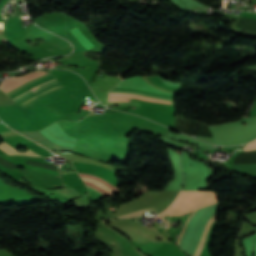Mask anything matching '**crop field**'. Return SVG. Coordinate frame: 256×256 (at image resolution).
<instances>
[{
	"mask_svg": "<svg viewBox=\"0 0 256 256\" xmlns=\"http://www.w3.org/2000/svg\"><path fill=\"white\" fill-rule=\"evenodd\" d=\"M54 80H56V79H54ZM54 83H57V81H51V82H48L46 84H43V85H41V86H39V87L29 91L28 93L24 94L23 96H21L19 98L14 99V100L17 102V101L23 99L24 97L28 96L29 94H31V93H33V92H35V91H37V90H39L41 88H44V87H46L48 85L54 84ZM57 87H60L59 83L51 85V86H49L47 88H44L42 90H39V91L29 95L28 97L24 98L23 100L19 101L18 103L24 104V103L28 102L29 100H31V99H33V98H35V97H37V96H39V95H41V94H43L45 92H48V91H50V90H52L54 88H57ZM67 94L68 93H67L65 87L63 86V87L54 89V90H52V91H50V92H48L46 94H43V95L33 99L32 101L22 105V107H29V106H33V105H37V104H44V103H46V102H48V101H50V100H52V99H54L56 97H60V96L67 95Z\"/></svg>",
	"mask_w": 256,
	"mask_h": 256,
	"instance_id": "3",
	"label": "crop field"
},
{
	"mask_svg": "<svg viewBox=\"0 0 256 256\" xmlns=\"http://www.w3.org/2000/svg\"><path fill=\"white\" fill-rule=\"evenodd\" d=\"M233 168L256 175V164L233 165Z\"/></svg>",
	"mask_w": 256,
	"mask_h": 256,
	"instance_id": "8",
	"label": "crop field"
},
{
	"mask_svg": "<svg viewBox=\"0 0 256 256\" xmlns=\"http://www.w3.org/2000/svg\"><path fill=\"white\" fill-rule=\"evenodd\" d=\"M146 210H151V208H149V209H142L140 211L131 212V213H128V214H125V215H122V216H118V217L119 218H125V217H132V216H142L143 212L146 211Z\"/></svg>",
	"mask_w": 256,
	"mask_h": 256,
	"instance_id": "10",
	"label": "crop field"
},
{
	"mask_svg": "<svg viewBox=\"0 0 256 256\" xmlns=\"http://www.w3.org/2000/svg\"><path fill=\"white\" fill-rule=\"evenodd\" d=\"M252 149H256V140L248 143L243 150H252Z\"/></svg>",
	"mask_w": 256,
	"mask_h": 256,
	"instance_id": "11",
	"label": "crop field"
},
{
	"mask_svg": "<svg viewBox=\"0 0 256 256\" xmlns=\"http://www.w3.org/2000/svg\"><path fill=\"white\" fill-rule=\"evenodd\" d=\"M187 191H180L179 195L177 196L176 200L170 205V207L165 210L162 214L158 215V217L165 216L168 212L174 209L177 205H179L184 198ZM190 191L187 192L185 198L183 199L182 203L177 206L174 210H172L170 214H172L177 208H179L187 198ZM217 202L215 193L213 192H196L191 191L188 198L186 199L185 203L177 209L172 215H183L188 213L192 210H197L203 207H206L210 204ZM167 216V215H166Z\"/></svg>",
	"mask_w": 256,
	"mask_h": 256,
	"instance_id": "2",
	"label": "crop field"
},
{
	"mask_svg": "<svg viewBox=\"0 0 256 256\" xmlns=\"http://www.w3.org/2000/svg\"><path fill=\"white\" fill-rule=\"evenodd\" d=\"M192 214H193V212H191V214H190V216H189V218H188L186 224H187L188 221L190 220ZM216 214H217V212H216L214 215H212V216L210 217V219H209V221H208V223H207V225H206V227H205V229H204V231H203V233H202V235H201V237H200V239H199V241H198V244H197V246H196V248H195V250H194L192 256H199V254H200V252H201V250H202V248H203L204 242H205V240H206V237H207L208 231H209V229H210V226H211V224L215 221ZM186 224H185V226H186ZM185 226H184V228H185ZM184 228H183V230H182V233H183V231H184ZM182 233H181V235H180V237H179L177 243L179 242V240H180V238H181V236H182Z\"/></svg>",
	"mask_w": 256,
	"mask_h": 256,
	"instance_id": "5",
	"label": "crop field"
},
{
	"mask_svg": "<svg viewBox=\"0 0 256 256\" xmlns=\"http://www.w3.org/2000/svg\"><path fill=\"white\" fill-rule=\"evenodd\" d=\"M73 30L75 31V33L80 37V39L85 43L87 44L90 48L94 47L85 37L84 35L79 31V29L77 27L73 28ZM72 29L70 30L74 35L75 37L87 48V49H90L88 46H86L80 39L79 37L74 33Z\"/></svg>",
	"mask_w": 256,
	"mask_h": 256,
	"instance_id": "9",
	"label": "crop field"
},
{
	"mask_svg": "<svg viewBox=\"0 0 256 256\" xmlns=\"http://www.w3.org/2000/svg\"><path fill=\"white\" fill-rule=\"evenodd\" d=\"M117 87L142 89V90H148V91L166 94V95H173V93L162 92V91L152 88L150 85H148L142 79V77H130L126 80L121 81V83ZM126 88H114L110 92H125V93L139 94V95H144L147 97H153V98H159V99L171 101V96H166V95H161V94H156V93H151V92L141 91V90L126 89ZM125 93H109L108 101H128L130 97H133V98H138V99L153 101V102H158V103L172 104L169 101L152 99V98H147L144 96L131 95V94H125Z\"/></svg>",
	"mask_w": 256,
	"mask_h": 256,
	"instance_id": "1",
	"label": "crop field"
},
{
	"mask_svg": "<svg viewBox=\"0 0 256 256\" xmlns=\"http://www.w3.org/2000/svg\"><path fill=\"white\" fill-rule=\"evenodd\" d=\"M39 132V131H38ZM24 133L26 136L30 137L31 139L37 141V142H40L54 150H57V151H72L73 148L71 147H65V146H59V145H56L52 142H50L49 140H47L44 136H42L41 134H38L36 132H22Z\"/></svg>",
	"mask_w": 256,
	"mask_h": 256,
	"instance_id": "6",
	"label": "crop field"
},
{
	"mask_svg": "<svg viewBox=\"0 0 256 256\" xmlns=\"http://www.w3.org/2000/svg\"><path fill=\"white\" fill-rule=\"evenodd\" d=\"M81 176V179H85V180H90V181H94L96 183H98L100 186H102L103 188L107 189L108 191H110L111 193H115L118 190L117 186H115L114 184L98 177V176H94V175H90V174H79ZM84 181L85 185L95 189L96 191L106 195V196H109V195H112L110 192H108L107 190L103 189L102 187H100L98 184L94 183V182H90V181ZM97 198V200L105 197L101 194H99L98 192L88 188Z\"/></svg>",
	"mask_w": 256,
	"mask_h": 256,
	"instance_id": "4",
	"label": "crop field"
},
{
	"mask_svg": "<svg viewBox=\"0 0 256 256\" xmlns=\"http://www.w3.org/2000/svg\"><path fill=\"white\" fill-rule=\"evenodd\" d=\"M0 148L6 152L8 155H21L20 153L16 152V150L11 147L10 145H8L6 142H2L0 144ZM23 155H28V156H38L37 154L33 153L32 151L28 150L25 153H22Z\"/></svg>",
	"mask_w": 256,
	"mask_h": 256,
	"instance_id": "7",
	"label": "crop field"
}]
</instances>
